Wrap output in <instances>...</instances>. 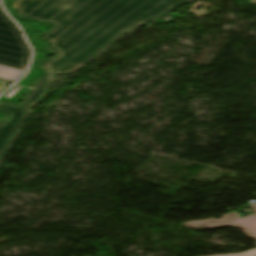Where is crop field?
I'll return each instance as SVG.
<instances>
[{
  "label": "crop field",
  "mask_w": 256,
  "mask_h": 256,
  "mask_svg": "<svg viewBox=\"0 0 256 256\" xmlns=\"http://www.w3.org/2000/svg\"><path fill=\"white\" fill-rule=\"evenodd\" d=\"M192 0H13L20 18L54 24L38 34L55 57L40 62L46 74L33 83L21 104L0 103V163L58 74L69 75L93 61L125 34L163 19Z\"/></svg>",
  "instance_id": "obj_1"
},
{
  "label": "crop field",
  "mask_w": 256,
  "mask_h": 256,
  "mask_svg": "<svg viewBox=\"0 0 256 256\" xmlns=\"http://www.w3.org/2000/svg\"><path fill=\"white\" fill-rule=\"evenodd\" d=\"M31 53L15 23L0 7V65L26 70ZM23 72L0 66V78L15 81Z\"/></svg>",
  "instance_id": "obj_2"
},
{
  "label": "crop field",
  "mask_w": 256,
  "mask_h": 256,
  "mask_svg": "<svg viewBox=\"0 0 256 256\" xmlns=\"http://www.w3.org/2000/svg\"><path fill=\"white\" fill-rule=\"evenodd\" d=\"M225 217L233 224L234 227H238L249 237L256 240V215L252 214L241 219L236 214L232 213L225 215Z\"/></svg>",
  "instance_id": "obj_3"
},
{
  "label": "crop field",
  "mask_w": 256,
  "mask_h": 256,
  "mask_svg": "<svg viewBox=\"0 0 256 256\" xmlns=\"http://www.w3.org/2000/svg\"><path fill=\"white\" fill-rule=\"evenodd\" d=\"M19 23L24 28V30L26 31L31 43L35 47V54H34L33 60H39V59L44 58L45 55L39 53L40 50L45 49L42 46L44 43L33 39V32L34 31H43L47 26H41L39 24H27V23H23V22H19Z\"/></svg>",
  "instance_id": "obj_4"
},
{
  "label": "crop field",
  "mask_w": 256,
  "mask_h": 256,
  "mask_svg": "<svg viewBox=\"0 0 256 256\" xmlns=\"http://www.w3.org/2000/svg\"><path fill=\"white\" fill-rule=\"evenodd\" d=\"M183 225L193 229H198L195 227H199V226H204V228H201V229L217 227V226H232V224L224 216L219 220H213V219L199 220V221L186 222V223H183Z\"/></svg>",
  "instance_id": "obj_5"
},
{
  "label": "crop field",
  "mask_w": 256,
  "mask_h": 256,
  "mask_svg": "<svg viewBox=\"0 0 256 256\" xmlns=\"http://www.w3.org/2000/svg\"><path fill=\"white\" fill-rule=\"evenodd\" d=\"M25 88L26 87L15 86L9 91H7L4 95H2L0 99L7 100V101H16L17 100L16 97L19 96Z\"/></svg>",
  "instance_id": "obj_6"
},
{
  "label": "crop field",
  "mask_w": 256,
  "mask_h": 256,
  "mask_svg": "<svg viewBox=\"0 0 256 256\" xmlns=\"http://www.w3.org/2000/svg\"><path fill=\"white\" fill-rule=\"evenodd\" d=\"M35 64H36V61H33L32 64H31V66H30V69H29L28 74L25 76V77L30 78V79L27 81L26 85L22 83L25 77H24L18 84H21V85H24V86H28L31 79L33 80V79H35L39 74H43V73H41L38 69L34 68V65H35ZM25 79H26V78H25ZM28 87H29V86H28Z\"/></svg>",
  "instance_id": "obj_7"
},
{
  "label": "crop field",
  "mask_w": 256,
  "mask_h": 256,
  "mask_svg": "<svg viewBox=\"0 0 256 256\" xmlns=\"http://www.w3.org/2000/svg\"><path fill=\"white\" fill-rule=\"evenodd\" d=\"M255 255H256V248L249 251L242 252V253H238V254L217 255V256H255Z\"/></svg>",
  "instance_id": "obj_8"
},
{
  "label": "crop field",
  "mask_w": 256,
  "mask_h": 256,
  "mask_svg": "<svg viewBox=\"0 0 256 256\" xmlns=\"http://www.w3.org/2000/svg\"><path fill=\"white\" fill-rule=\"evenodd\" d=\"M7 87H9V86L6 85V84L0 83V93H1L2 91H4Z\"/></svg>",
  "instance_id": "obj_9"
},
{
  "label": "crop field",
  "mask_w": 256,
  "mask_h": 256,
  "mask_svg": "<svg viewBox=\"0 0 256 256\" xmlns=\"http://www.w3.org/2000/svg\"><path fill=\"white\" fill-rule=\"evenodd\" d=\"M249 208L256 212V204L249 206Z\"/></svg>",
  "instance_id": "obj_10"
}]
</instances>
